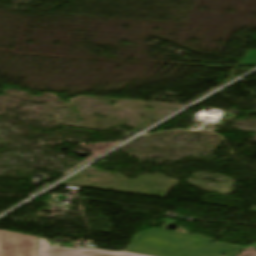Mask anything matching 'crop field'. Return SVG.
<instances>
[{
    "label": "crop field",
    "mask_w": 256,
    "mask_h": 256,
    "mask_svg": "<svg viewBox=\"0 0 256 256\" xmlns=\"http://www.w3.org/2000/svg\"><path fill=\"white\" fill-rule=\"evenodd\" d=\"M126 249L153 256H233L241 247L212 244L207 238L154 228L137 234Z\"/></svg>",
    "instance_id": "obj_1"
},
{
    "label": "crop field",
    "mask_w": 256,
    "mask_h": 256,
    "mask_svg": "<svg viewBox=\"0 0 256 256\" xmlns=\"http://www.w3.org/2000/svg\"><path fill=\"white\" fill-rule=\"evenodd\" d=\"M0 256H37V237L0 230Z\"/></svg>",
    "instance_id": "obj_2"
},
{
    "label": "crop field",
    "mask_w": 256,
    "mask_h": 256,
    "mask_svg": "<svg viewBox=\"0 0 256 256\" xmlns=\"http://www.w3.org/2000/svg\"><path fill=\"white\" fill-rule=\"evenodd\" d=\"M254 212H256V207H254Z\"/></svg>",
    "instance_id": "obj_6"
},
{
    "label": "crop field",
    "mask_w": 256,
    "mask_h": 256,
    "mask_svg": "<svg viewBox=\"0 0 256 256\" xmlns=\"http://www.w3.org/2000/svg\"><path fill=\"white\" fill-rule=\"evenodd\" d=\"M256 64V50L247 51L241 65Z\"/></svg>",
    "instance_id": "obj_5"
},
{
    "label": "crop field",
    "mask_w": 256,
    "mask_h": 256,
    "mask_svg": "<svg viewBox=\"0 0 256 256\" xmlns=\"http://www.w3.org/2000/svg\"><path fill=\"white\" fill-rule=\"evenodd\" d=\"M92 252H93V250H92ZM91 256H92V254H91Z\"/></svg>",
    "instance_id": "obj_7"
},
{
    "label": "crop field",
    "mask_w": 256,
    "mask_h": 256,
    "mask_svg": "<svg viewBox=\"0 0 256 256\" xmlns=\"http://www.w3.org/2000/svg\"><path fill=\"white\" fill-rule=\"evenodd\" d=\"M255 248H256V246H255Z\"/></svg>",
    "instance_id": "obj_8"
},
{
    "label": "crop field",
    "mask_w": 256,
    "mask_h": 256,
    "mask_svg": "<svg viewBox=\"0 0 256 256\" xmlns=\"http://www.w3.org/2000/svg\"><path fill=\"white\" fill-rule=\"evenodd\" d=\"M93 256H142V255L130 254L126 252H105V251L94 249Z\"/></svg>",
    "instance_id": "obj_4"
},
{
    "label": "crop field",
    "mask_w": 256,
    "mask_h": 256,
    "mask_svg": "<svg viewBox=\"0 0 256 256\" xmlns=\"http://www.w3.org/2000/svg\"><path fill=\"white\" fill-rule=\"evenodd\" d=\"M91 250L49 247L44 238H39V256H90Z\"/></svg>",
    "instance_id": "obj_3"
}]
</instances>
